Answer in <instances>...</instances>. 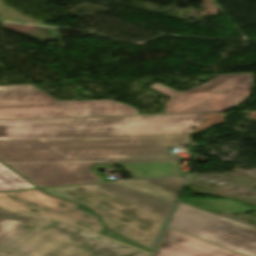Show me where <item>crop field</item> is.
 <instances>
[{
	"mask_svg": "<svg viewBox=\"0 0 256 256\" xmlns=\"http://www.w3.org/2000/svg\"><path fill=\"white\" fill-rule=\"evenodd\" d=\"M0 206L11 211L37 210L39 214L73 223L95 233L103 230L97 217L74 209L76 204L57 200L38 190L0 193Z\"/></svg>",
	"mask_w": 256,
	"mask_h": 256,
	"instance_id": "e52e79f7",
	"label": "crop field"
},
{
	"mask_svg": "<svg viewBox=\"0 0 256 256\" xmlns=\"http://www.w3.org/2000/svg\"><path fill=\"white\" fill-rule=\"evenodd\" d=\"M152 256H240L195 237L167 228Z\"/></svg>",
	"mask_w": 256,
	"mask_h": 256,
	"instance_id": "5a996713",
	"label": "crop field"
},
{
	"mask_svg": "<svg viewBox=\"0 0 256 256\" xmlns=\"http://www.w3.org/2000/svg\"><path fill=\"white\" fill-rule=\"evenodd\" d=\"M29 188L34 187L0 163V191Z\"/></svg>",
	"mask_w": 256,
	"mask_h": 256,
	"instance_id": "28ad6ade",
	"label": "crop field"
},
{
	"mask_svg": "<svg viewBox=\"0 0 256 256\" xmlns=\"http://www.w3.org/2000/svg\"><path fill=\"white\" fill-rule=\"evenodd\" d=\"M108 238L113 239V240H116V241H119V242H121V243L130 245V246H133V247H135V248H138V249H141V250L150 252V250H147V249H145V248H143V247H141V246H139V245H137V244H135V243H132V242H130V241H128V240H126V239H124V238H122V237H120V236L114 234V233H112L110 236H108Z\"/></svg>",
	"mask_w": 256,
	"mask_h": 256,
	"instance_id": "d1516ede",
	"label": "crop field"
},
{
	"mask_svg": "<svg viewBox=\"0 0 256 256\" xmlns=\"http://www.w3.org/2000/svg\"><path fill=\"white\" fill-rule=\"evenodd\" d=\"M179 202L207 212L248 213L256 210L234 200L179 199Z\"/></svg>",
	"mask_w": 256,
	"mask_h": 256,
	"instance_id": "3316defc",
	"label": "crop field"
},
{
	"mask_svg": "<svg viewBox=\"0 0 256 256\" xmlns=\"http://www.w3.org/2000/svg\"><path fill=\"white\" fill-rule=\"evenodd\" d=\"M50 195L82 203L97 213L105 225L152 249L164 219L95 184L42 189Z\"/></svg>",
	"mask_w": 256,
	"mask_h": 256,
	"instance_id": "34b2d1b8",
	"label": "crop field"
},
{
	"mask_svg": "<svg viewBox=\"0 0 256 256\" xmlns=\"http://www.w3.org/2000/svg\"><path fill=\"white\" fill-rule=\"evenodd\" d=\"M204 120L199 114L3 120L0 160L39 187L101 182L92 164L116 163L133 179L181 175L182 158L169 155L170 148L187 143Z\"/></svg>",
	"mask_w": 256,
	"mask_h": 256,
	"instance_id": "8a807250",
	"label": "crop field"
},
{
	"mask_svg": "<svg viewBox=\"0 0 256 256\" xmlns=\"http://www.w3.org/2000/svg\"><path fill=\"white\" fill-rule=\"evenodd\" d=\"M171 227L256 256V229L179 203L168 224Z\"/></svg>",
	"mask_w": 256,
	"mask_h": 256,
	"instance_id": "dd49c442",
	"label": "crop field"
},
{
	"mask_svg": "<svg viewBox=\"0 0 256 256\" xmlns=\"http://www.w3.org/2000/svg\"><path fill=\"white\" fill-rule=\"evenodd\" d=\"M136 115L109 101L58 102L31 86L0 87V120Z\"/></svg>",
	"mask_w": 256,
	"mask_h": 256,
	"instance_id": "412701ff",
	"label": "crop field"
},
{
	"mask_svg": "<svg viewBox=\"0 0 256 256\" xmlns=\"http://www.w3.org/2000/svg\"><path fill=\"white\" fill-rule=\"evenodd\" d=\"M183 177L100 184L98 186L166 219Z\"/></svg>",
	"mask_w": 256,
	"mask_h": 256,
	"instance_id": "d8731c3e",
	"label": "crop field"
},
{
	"mask_svg": "<svg viewBox=\"0 0 256 256\" xmlns=\"http://www.w3.org/2000/svg\"><path fill=\"white\" fill-rule=\"evenodd\" d=\"M42 216L0 209V256H148L141 251ZM64 237L63 239H60Z\"/></svg>",
	"mask_w": 256,
	"mask_h": 256,
	"instance_id": "ac0d7876",
	"label": "crop field"
},
{
	"mask_svg": "<svg viewBox=\"0 0 256 256\" xmlns=\"http://www.w3.org/2000/svg\"><path fill=\"white\" fill-rule=\"evenodd\" d=\"M149 87L170 97L166 101L164 114L219 113L248 97L252 88V73L220 75L183 93L159 83Z\"/></svg>",
	"mask_w": 256,
	"mask_h": 256,
	"instance_id": "f4fd0767",
	"label": "crop field"
}]
</instances>
